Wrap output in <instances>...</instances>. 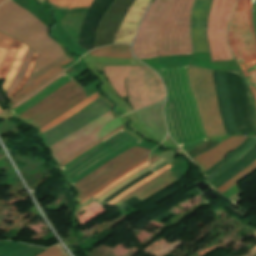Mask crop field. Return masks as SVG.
<instances>
[{
    "mask_svg": "<svg viewBox=\"0 0 256 256\" xmlns=\"http://www.w3.org/2000/svg\"><path fill=\"white\" fill-rule=\"evenodd\" d=\"M69 58L63 56L62 58L44 66L43 68L39 69L37 72H35L33 75L30 76L29 80L27 81L26 85L24 86L27 87L33 80H35L37 77H39L41 74L45 73L46 71H48L49 69L55 67L56 65L62 63L63 61L67 60ZM23 88V89H24Z\"/></svg>",
    "mask_w": 256,
    "mask_h": 256,
    "instance_id": "obj_33",
    "label": "crop field"
},
{
    "mask_svg": "<svg viewBox=\"0 0 256 256\" xmlns=\"http://www.w3.org/2000/svg\"><path fill=\"white\" fill-rule=\"evenodd\" d=\"M256 145V138L253 137L246 145L245 147L236 154L233 158H231L228 162H226L224 165H222L220 168H218L216 171H214L212 174H210L207 178V180H211L215 176L219 175L226 169H228L230 166H232L237 160H239L245 153H247L252 147Z\"/></svg>",
    "mask_w": 256,
    "mask_h": 256,
    "instance_id": "obj_24",
    "label": "crop field"
},
{
    "mask_svg": "<svg viewBox=\"0 0 256 256\" xmlns=\"http://www.w3.org/2000/svg\"><path fill=\"white\" fill-rule=\"evenodd\" d=\"M21 41L15 39L9 53L7 54V56L5 57L4 61L2 62L1 66H0V80L5 79L14 59L15 56L18 52V49L21 45Z\"/></svg>",
    "mask_w": 256,
    "mask_h": 256,
    "instance_id": "obj_26",
    "label": "crop field"
},
{
    "mask_svg": "<svg viewBox=\"0 0 256 256\" xmlns=\"http://www.w3.org/2000/svg\"><path fill=\"white\" fill-rule=\"evenodd\" d=\"M252 0H238L227 40L256 100V36L251 18ZM231 51V52H232Z\"/></svg>",
    "mask_w": 256,
    "mask_h": 256,
    "instance_id": "obj_5",
    "label": "crop field"
},
{
    "mask_svg": "<svg viewBox=\"0 0 256 256\" xmlns=\"http://www.w3.org/2000/svg\"><path fill=\"white\" fill-rule=\"evenodd\" d=\"M63 73H60L59 75H57L56 77H54L53 79H51L50 81H48L47 83H45L44 85H42L40 88H38L36 91H34L32 94H30L28 97H26L24 100L18 102L17 104L12 106V109L17 107L18 105L22 104L23 102L29 100L31 97H33L35 94H37L39 91H41L44 87H46L48 84H50L51 82L55 81L56 79L60 78L61 76H63Z\"/></svg>",
    "mask_w": 256,
    "mask_h": 256,
    "instance_id": "obj_39",
    "label": "crop field"
},
{
    "mask_svg": "<svg viewBox=\"0 0 256 256\" xmlns=\"http://www.w3.org/2000/svg\"><path fill=\"white\" fill-rule=\"evenodd\" d=\"M171 0H154L147 10L133 44V51L138 58L157 56L156 35Z\"/></svg>",
    "mask_w": 256,
    "mask_h": 256,
    "instance_id": "obj_12",
    "label": "crop field"
},
{
    "mask_svg": "<svg viewBox=\"0 0 256 256\" xmlns=\"http://www.w3.org/2000/svg\"><path fill=\"white\" fill-rule=\"evenodd\" d=\"M70 80H72V79H70L66 75L61 77L60 79L56 80L52 84L48 85L46 88H44L41 92H39L36 96H34L29 101L25 102L24 104L18 106L15 109L11 110L12 114L15 116L21 114L22 112L26 111L27 109H29L30 107L35 105L37 102L42 100L44 97L49 95L51 92L56 90L58 87H60L61 85L65 84L66 82H68Z\"/></svg>",
    "mask_w": 256,
    "mask_h": 256,
    "instance_id": "obj_19",
    "label": "crop field"
},
{
    "mask_svg": "<svg viewBox=\"0 0 256 256\" xmlns=\"http://www.w3.org/2000/svg\"><path fill=\"white\" fill-rule=\"evenodd\" d=\"M92 55L115 57V58H131L130 46L112 45L89 52Z\"/></svg>",
    "mask_w": 256,
    "mask_h": 256,
    "instance_id": "obj_22",
    "label": "crop field"
},
{
    "mask_svg": "<svg viewBox=\"0 0 256 256\" xmlns=\"http://www.w3.org/2000/svg\"><path fill=\"white\" fill-rule=\"evenodd\" d=\"M235 0H213L208 20L207 40L211 61L234 60L227 46L226 28Z\"/></svg>",
    "mask_w": 256,
    "mask_h": 256,
    "instance_id": "obj_10",
    "label": "crop field"
},
{
    "mask_svg": "<svg viewBox=\"0 0 256 256\" xmlns=\"http://www.w3.org/2000/svg\"><path fill=\"white\" fill-rule=\"evenodd\" d=\"M248 137L246 135H235L232 136L220 144H218L212 150L193 158L192 160L202 169L206 171L208 168L213 166L219 160H221L225 155H227L231 150L240 145L243 140Z\"/></svg>",
    "mask_w": 256,
    "mask_h": 256,
    "instance_id": "obj_15",
    "label": "crop field"
},
{
    "mask_svg": "<svg viewBox=\"0 0 256 256\" xmlns=\"http://www.w3.org/2000/svg\"><path fill=\"white\" fill-rule=\"evenodd\" d=\"M3 1H5V0H0V3H2Z\"/></svg>",
    "mask_w": 256,
    "mask_h": 256,
    "instance_id": "obj_46",
    "label": "crop field"
},
{
    "mask_svg": "<svg viewBox=\"0 0 256 256\" xmlns=\"http://www.w3.org/2000/svg\"><path fill=\"white\" fill-rule=\"evenodd\" d=\"M163 161H164V160L161 158V159H159L158 161H156V162L150 164V166H151V168H154V167H156L157 165H159L160 163H162Z\"/></svg>",
    "mask_w": 256,
    "mask_h": 256,
    "instance_id": "obj_44",
    "label": "crop field"
},
{
    "mask_svg": "<svg viewBox=\"0 0 256 256\" xmlns=\"http://www.w3.org/2000/svg\"><path fill=\"white\" fill-rule=\"evenodd\" d=\"M148 166V162L138 166L137 168L133 169L132 171H130L129 173H127L126 175L122 176L121 178H119L118 180H116L115 182L111 183L110 185H108L106 188H104L101 192H99L96 196H94V198H99L100 196H102L103 194H105L107 191H109L111 188H113L115 185H117L118 183L122 182L123 180L127 179L128 177H130L131 175L135 174L136 172L140 171L141 169H143L144 167Z\"/></svg>",
    "mask_w": 256,
    "mask_h": 256,
    "instance_id": "obj_31",
    "label": "crop field"
},
{
    "mask_svg": "<svg viewBox=\"0 0 256 256\" xmlns=\"http://www.w3.org/2000/svg\"><path fill=\"white\" fill-rule=\"evenodd\" d=\"M149 152L148 149L133 147L99 167L74 185L79 193L77 200L80 201L115 175L145 158Z\"/></svg>",
    "mask_w": 256,
    "mask_h": 256,
    "instance_id": "obj_11",
    "label": "crop field"
},
{
    "mask_svg": "<svg viewBox=\"0 0 256 256\" xmlns=\"http://www.w3.org/2000/svg\"><path fill=\"white\" fill-rule=\"evenodd\" d=\"M171 173L172 172H170L168 170L167 172L157 176L153 180L149 181L148 183L144 184L137 190H135L132 193H130L129 195H127L125 198H123L122 200L117 202L115 205L118 206V205L122 204L125 200H127L133 196L138 198L141 201L146 199L150 195L156 193L157 191L161 190L162 188L166 187L167 185H169L170 183H172L176 180V179L168 176Z\"/></svg>",
    "mask_w": 256,
    "mask_h": 256,
    "instance_id": "obj_17",
    "label": "crop field"
},
{
    "mask_svg": "<svg viewBox=\"0 0 256 256\" xmlns=\"http://www.w3.org/2000/svg\"><path fill=\"white\" fill-rule=\"evenodd\" d=\"M34 51H32L31 49H28L27 53L25 54L23 60H22V63H21V66H20V69H19V72L16 76V78L14 79L11 87L8 89L7 91V95L12 92L21 82L27 68H28V65L30 63V60L32 58V55H33Z\"/></svg>",
    "mask_w": 256,
    "mask_h": 256,
    "instance_id": "obj_28",
    "label": "crop field"
},
{
    "mask_svg": "<svg viewBox=\"0 0 256 256\" xmlns=\"http://www.w3.org/2000/svg\"><path fill=\"white\" fill-rule=\"evenodd\" d=\"M0 31L24 41L39 54L32 73L64 55L61 47L47 35V26L12 0L0 6Z\"/></svg>",
    "mask_w": 256,
    "mask_h": 256,
    "instance_id": "obj_3",
    "label": "crop field"
},
{
    "mask_svg": "<svg viewBox=\"0 0 256 256\" xmlns=\"http://www.w3.org/2000/svg\"><path fill=\"white\" fill-rule=\"evenodd\" d=\"M98 93H94L91 96H89L87 99H85L84 101H82L81 103H79L77 106H75L73 109H71L70 111H68L67 113L63 114L62 116H60L59 118H57L56 120H54L53 122H51L50 124L46 125L45 127H43L42 129H40L41 133H44L45 131L49 130L50 128H52L53 126L63 122L65 119H67L69 116H71L72 114H74L75 112H77L78 110H80L81 108H83L84 106H86L87 104H89L90 102H92L93 100H95L98 97Z\"/></svg>",
    "mask_w": 256,
    "mask_h": 256,
    "instance_id": "obj_25",
    "label": "crop field"
},
{
    "mask_svg": "<svg viewBox=\"0 0 256 256\" xmlns=\"http://www.w3.org/2000/svg\"><path fill=\"white\" fill-rule=\"evenodd\" d=\"M212 0H196L191 18L194 52H209L206 40V25Z\"/></svg>",
    "mask_w": 256,
    "mask_h": 256,
    "instance_id": "obj_13",
    "label": "crop field"
},
{
    "mask_svg": "<svg viewBox=\"0 0 256 256\" xmlns=\"http://www.w3.org/2000/svg\"><path fill=\"white\" fill-rule=\"evenodd\" d=\"M104 69L120 97L127 96L126 78L129 100L134 110L164 99L165 91L159 77L147 66H117Z\"/></svg>",
    "mask_w": 256,
    "mask_h": 256,
    "instance_id": "obj_4",
    "label": "crop field"
},
{
    "mask_svg": "<svg viewBox=\"0 0 256 256\" xmlns=\"http://www.w3.org/2000/svg\"><path fill=\"white\" fill-rule=\"evenodd\" d=\"M150 170L149 166L146 167L145 169L141 170L140 172L136 173L135 175L131 176L130 178H128L127 180L123 181L122 183L118 184L116 187H114L112 190H110L108 193H106L104 196H102L100 199L98 200H103L104 198H106L107 196H109L111 193H113L114 191H116L117 189H119L120 187H122L123 185H125L126 183H128L129 181L133 180L134 178H136L137 176L141 175L142 173L146 172Z\"/></svg>",
    "mask_w": 256,
    "mask_h": 256,
    "instance_id": "obj_36",
    "label": "crop field"
},
{
    "mask_svg": "<svg viewBox=\"0 0 256 256\" xmlns=\"http://www.w3.org/2000/svg\"><path fill=\"white\" fill-rule=\"evenodd\" d=\"M193 0H173L158 31V56L192 54L190 12Z\"/></svg>",
    "mask_w": 256,
    "mask_h": 256,
    "instance_id": "obj_6",
    "label": "crop field"
},
{
    "mask_svg": "<svg viewBox=\"0 0 256 256\" xmlns=\"http://www.w3.org/2000/svg\"><path fill=\"white\" fill-rule=\"evenodd\" d=\"M38 256H66L58 245H55Z\"/></svg>",
    "mask_w": 256,
    "mask_h": 256,
    "instance_id": "obj_38",
    "label": "crop field"
},
{
    "mask_svg": "<svg viewBox=\"0 0 256 256\" xmlns=\"http://www.w3.org/2000/svg\"><path fill=\"white\" fill-rule=\"evenodd\" d=\"M164 101L137 112L140 123L160 139H164L166 128L162 105Z\"/></svg>",
    "mask_w": 256,
    "mask_h": 256,
    "instance_id": "obj_16",
    "label": "crop field"
},
{
    "mask_svg": "<svg viewBox=\"0 0 256 256\" xmlns=\"http://www.w3.org/2000/svg\"><path fill=\"white\" fill-rule=\"evenodd\" d=\"M188 77L208 139L226 136L217 105L212 70L190 65Z\"/></svg>",
    "mask_w": 256,
    "mask_h": 256,
    "instance_id": "obj_8",
    "label": "crop field"
},
{
    "mask_svg": "<svg viewBox=\"0 0 256 256\" xmlns=\"http://www.w3.org/2000/svg\"><path fill=\"white\" fill-rule=\"evenodd\" d=\"M13 38L3 34V33H0V47L1 48H4V49H10L12 43H13Z\"/></svg>",
    "mask_w": 256,
    "mask_h": 256,
    "instance_id": "obj_40",
    "label": "crop field"
},
{
    "mask_svg": "<svg viewBox=\"0 0 256 256\" xmlns=\"http://www.w3.org/2000/svg\"><path fill=\"white\" fill-rule=\"evenodd\" d=\"M148 160V157L141 160L140 162L136 163L135 165H133L132 167L128 168L127 170H125L124 172L120 173L119 175H117L116 177H114L113 179H111L110 181H108L107 183H105L104 185H102L101 187H99L98 189H96L95 191H93L91 194H89L87 197H85L80 204L82 205L83 203H85L87 200H89L91 197H93L96 193H98L100 190H102L104 187H106L108 184H110L111 182L115 181L116 179H118L119 177H121L122 175L126 174L127 172H129L130 170H132L133 168L137 167L138 165H140L141 163L145 162Z\"/></svg>",
    "mask_w": 256,
    "mask_h": 256,
    "instance_id": "obj_32",
    "label": "crop field"
},
{
    "mask_svg": "<svg viewBox=\"0 0 256 256\" xmlns=\"http://www.w3.org/2000/svg\"><path fill=\"white\" fill-rule=\"evenodd\" d=\"M100 141L97 140L96 142H94L93 144H91L90 146H88L87 148L83 149L82 151L76 153L75 155H73L72 157L68 158L67 160H65L64 162H62L61 164H59L61 167L64 166L66 163H68L69 161L73 160L74 158L78 157L79 155H81L82 153L86 152L87 150H89L90 148H92L93 146H95L96 144H98Z\"/></svg>",
    "mask_w": 256,
    "mask_h": 256,
    "instance_id": "obj_41",
    "label": "crop field"
},
{
    "mask_svg": "<svg viewBox=\"0 0 256 256\" xmlns=\"http://www.w3.org/2000/svg\"><path fill=\"white\" fill-rule=\"evenodd\" d=\"M85 98L82 88L72 80L17 117L39 129Z\"/></svg>",
    "mask_w": 256,
    "mask_h": 256,
    "instance_id": "obj_9",
    "label": "crop field"
},
{
    "mask_svg": "<svg viewBox=\"0 0 256 256\" xmlns=\"http://www.w3.org/2000/svg\"><path fill=\"white\" fill-rule=\"evenodd\" d=\"M165 165H167V164L164 162V163L160 164L158 167H156L152 170L155 172V171L159 170L160 168L164 167Z\"/></svg>",
    "mask_w": 256,
    "mask_h": 256,
    "instance_id": "obj_45",
    "label": "crop field"
},
{
    "mask_svg": "<svg viewBox=\"0 0 256 256\" xmlns=\"http://www.w3.org/2000/svg\"><path fill=\"white\" fill-rule=\"evenodd\" d=\"M109 111L108 106L99 98L69 117L60 125L42 134L47 147L86 126L96 118ZM114 119L110 111L96 119L86 127L51 146L52 156L58 164L87 147L97 139L100 128Z\"/></svg>",
    "mask_w": 256,
    "mask_h": 256,
    "instance_id": "obj_1",
    "label": "crop field"
},
{
    "mask_svg": "<svg viewBox=\"0 0 256 256\" xmlns=\"http://www.w3.org/2000/svg\"><path fill=\"white\" fill-rule=\"evenodd\" d=\"M140 143L123 129L62 167L65 178L74 185L116 155Z\"/></svg>",
    "mask_w": 256,
    "mask_h": 256,
    "instance_id": "obj_7",
    "label": "crop field"
},
{
    "mask_svg": "<svg viewBox=\"0 0 256 256\" xmlns=\"http://www.w3.org/2000/svg\"><path fill=\"white\" fill-rule=\"evenodd\" d=\"M50 3L59 7H68V10L75 8H89L92 0H49Z\"/></svg>",
    "mask_w": 256,
    "mask_h": 256,
    "instance_id": "obj_29",
    "label": "crop field"
},
{
    "mask_svg": "<svg viewBox=\"0 0 256 256\" xmlns=\"http://www.w3.org/2000/svg\"><path fill=\"white\" fill-rule=\"evenodd\" d=\"M27 48L28 47L24 43H22V45H21V47L19 49V52H18V54L16 56V59H15L13 65H12L8 75H7V78H6V80L4 81V83L1 86V90H2L3 93H5L7 91V89L9 88V86L11 84V82L13 81V79H14V77H15L18 69H19L21 60H22V58H23Z\"/></svg>",
    "mask_w": 256,
    "mask_h": 256,
    "instance_id": "obj_23",
    "label": "crop field"
},
{
    "mask_svg": "<svg viewBox=\"0 0 256 256\" xmlns=\"http://www.w3.org/2000/svg\"><path fill=\"white\" fill-rule=\"evenodd\" d=\"M255 149H256V146L254 148H252L246 155H244L239 161H237L232 167H230L224 173H222L221 175H219L216 178L209 181L210 184L214 186L213 188L215 189V188L219 187L222 183L229 180L231 177H233L235 174H237L240 170H242L244 167H246L249 163H251L253 160H255L256 159V150ZM251 152H253V153L251 155H249ZM245 157H247V158L244 159ZM237 164H239V165L234 170H232ZM229 171H231V172L229 174H227ZM225 174H227V175L225 177H223Z\"/></svg>",
    "mask_w": 256,
    "mask_h": 256,
    "instance_id": "obj_21",
    "label": "crop field"
},
{
    "mask_svg": "<svg viewBox=\"0 0 256 256\" xmlns=\"http://www.w3.org/2000/svg\"><path fill=\"white\" fill-rule=\"evenodd\" d=\"M124 128L123 125L114 129L113 131H111L110 133H108L106 136H104L103 138H101L102 140L106 139L107 137H109L110 135L114 134L115 132H117L118 130Z\"/></svg>",
    "mask_w": 256,
    "mask_h": 256,
    "instance_id": "obj_43",
    "label": "crop field"
},
{
    "mask_svg": "<svg viewBox=\"0 0 256 256\" xmlns=\"http://www.w3.org/2000/svg\"><path fill=\"white\" fill-rule=\"evenodd\" d=\"M179 68L183 67L164 68L160 69V71L168 90V99L165 108L168 129L172 138L180 145V147H182L203 142L205 140L202 139H206V136L202 129L196 104L189 88L187 68H184L180 69V78L184 93L189 102L194 125L202 141L199 140L196 133L191 119L187 99L182 90L179 78Z\"/></svg>",
    "mask_w": 256,
    "mask_h": 256,
    "instance_id": "obj_2",
    "label": "crop field"
},
{
    "mask_svg": "<svg viewBox=\"0 0 256 256\" xmlns=\"http://www.w3.org/2000/svg\"><path fill=\"white\" fill-rule=\"evenodd\" d=\"M44 248L0 241V256H34Z\"/></svg>",
    "mask_w": 256,
    "mask_h": 256,
    "instance_id": "obj_18",
    "label": "crop field"
},
{
    "mask_svg": "<svg viewBox=\"0 0 256 256\" xmlns=\"http://www.w3.org/2000/svg\"><path fill=\"white\" fill-rule=\"evenodd\" d=\"M251 137H248L234 152L223 158L220 162H218L216 165L211 167L209 170L204 172L205 176L209 175L212 173L214 170H216L218 167H220L222 164H224L226 161H228L231 157H233L237 152H239L242 147L250 140Z\"/></svg>",
    "mask_w": 256,
    "mask_h": 256,
    "instance_id": "obj_34",
    "label": "crop field"
},
{
    "mask_svg": "<svg viewBox=\"0 0 256 256\" xmlns=\"http://www.w3.org/2000/svg\"><path fill=\"white\" fill-rule=\"evenodd\" d=\"M120 125H122V122L120 121V119L119 118L114 119L113 121H111L109 124L105 125L102 128L101 133H100V138Z\"/></svg>",
    "mask_w": 256,
    "mask_h": 256,
    "instance_id": "obj_37",
    "label": "crop field"
},
{
    "mask_svg": "<svg viewBox=\"0 0 256 256\" xmlns=\"http://www.w3.org/2000/svg\"><path fill=\"white\" fill-rule=\"evenodd\" d=\"M169 168H171V166H166L164 168H162L161 170L155 172L154 174H152L151 176H149L148 178H146L145 180L131 186L130 188H128L127 190H125L123 193H121L119 196H117L115 199L111 200L110 202L107 203V205L111 206L114 203H116L117 201H119L120 199H122L124 196H126L127 194H129L130 192H132L133 190H135L136 188L140 187L141 185H143L144 183L148 182L149 180H151L152 178L156 177L157 175L161 174L162 172L168 170Z\"/></svg>",
    "mask_w": 256,
    "mask_h": 256,
    "instance_id": "obj_30",
    "label": "crop field"
},
{
    "mask_svg": "<svg viewBox=\"0 0 256 256\" xmlns=\"http://www.w3.org/2000/svg\"><path fill=\"white\" fill-rule=\"evenodd\" d=\"M8 53V50H4L0 48V64L3 61L4 57L6 56V54Z\"/></svg>",
    "mask_w": 256,
    "mask_h": 256,
    "instance_id": "obj_42",
    "label": "crop field"
},
{
    "mask_svg": "<svg viewBox=\"0 0 256 256\" xmlns=\"http://www.w3.org/2000/svg\"><path fill=\"white\" fill-rule=\"evenodd\" d=\"M37 55H38V54L34 53L33 58H32V60H31V63H30V65H29V68H28V70H27V73H26V75H25V77H24L22 83H21L12 93H10V94L8 95L9 98L12 97L13 95H15L16 93H18V92L22 89V87L25 85L26 81L28 80V78H29V76H30V74H31V71H32L33 65H34V63H35V60H36Z\"/></svg>",
    "mask_w": 256,
    "mask_h": 256,
    "instance_id": "obj_35",
    "label": "crop field"
},
{
    "mask_svg": "<svg viewBox=\"0 0 256 256\" xmlns=\"http://www.w3.org/2000/svg\"><path fill=\"white\" fill-rule=\"evenodd\" d=\"M254 170H256V160L252 162L250 165H248L246 168H244L241 172H239L236 176H234L232 179L227 181L225 184L220 186L219 188L215 189L220 194L229 189L231 186H233L235 183L252 173Z\"/></svg>",
    "mask_w": 256,
    "mask_h": 256,
    "instance_id": "obj_27",
    "label": "crop field"
},
{
    "mask_svg": "<svg viewBox=\"0 0 256 256\" xmlns=\"http://www.w3.org/2000/svg\"><path fill=\"white\" fill-rule=\"evenodd\" d=\"M3 112L2 109L0 108V113Z\"/></svg>",
    "mask_w": 256,
    "mask_h": 256,
    "instance_id": "obj_47",
    "label": "crop field"
},
{
    "mask_svg": "<svg viewBox=\"0 0 256 256\" xmlns=\"http://www.w3.org/2000/svg\"><path fill=\"white\" fill-rule=\"evenodd\" d=\"M71 60H73V59L70 58L69 60H67V61L63 62L62 64L56 66L55 68L49 70L44 75H42L40 78H38L37 80L32 82L26 89L22 90L20 93H18L17 95L13 96L12 98H10L11 104L12 105L15 104L16 102H18L19 100H21L22 98H24L25 96L30 94L32 91H34L35 89L40 87L46 81L51 79L53 76H55L59 72L63 71L64 69L60 68V67L64 66L65 64H67Z\"/></svg>",
    "mask_w": 256,
    "mask_h": 256,
    "instance_id": "obj_20",
    "label": "crop field"
},
{
    "mask_svg": "<svg viewBox=\"0 0 256 256\" xmlns=\"http://www.w3.org/2000/svg\"><path fill=\"white\" fill-rule=\"evenodd\" d=\"M150 1L135 0L117 31L115 43L131 44L137 24Z\"/></svg>",
    "mask_w": 256,
    "mask_h": 256,
    "instance_id": "obj_14",
    "label": "crop field"
}]
</instances>
